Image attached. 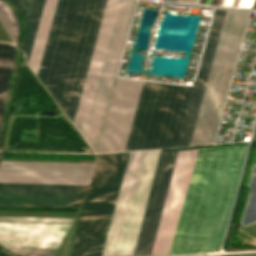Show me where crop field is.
<instances>
[{
	"label": "crop field",
	"mask_w": 256,
	"mask_h": 256,
	"mask_svg": "<svg viewBox=\"0 0 256 256\" xmlns=\"http://www.w3.org/2000/svg\"><path fill=\"white\" fill-rule=\"evenodd\" d=\"M248 14L226 12L190 145L213 143Z\"/></svg>",
	"instance_id": "5"
},
{
	"label": "crop field",
	"mask_w": 256,
	"mask_h": 256,
	"mask_svg": "<svg viewBox=\"0 0 256 256\" xmlns=\"http://www.w3.org/2000/svg\"><path fill=\"white\" fill-rule=\"evenodd\" d=\"M160 150L147 151L118 256H132Z\"/></svg>",
	"instance_id": "14"
},
{
	"label": "crop field",
	"mask_w": 256,
	"mask_h": 256,
	"mask_svg": "<svg viewBox=\"0 0 256 256\" xmlns=\"http://www.w3.org/2000/svg\"><path fill=\"white\" fill-rule=\"evenodd\" d=\"M247 146L197 150L169 254L218 250Z\"/></svg>",
	"instance_id": "1"
},
{
	"label": "crop field",
	"mask_w": 256,
	"mask_h": 256,
	"mask_svg": "<svg viewBox=\"0 0 256 256\" xmlns=\"http://www.w3.org/2000/svg\"><path fill=\"white\" fill-rule=\"evenodd\" d=\"M177 151L160 152L133 256L150 255Z\"/></svg>",
	"instance_id": "10"
},
{
	"label": "crop field",
	"mask_w": 256,
	"mask_h": 256,
	"mask_svg": "<svg viewBox=\"0 0 256 256\" xmlns=\"http://www.w3.org/2000/svg\"><path fill=\"white\" fill-rule=\"evenodd\" d=\"M142 82L117 79L97 153L124 151Z\"/></svg>",
	"instance_id": "7"
},
{
	"label": "crop field",
	"mask_w": 256,
	"mask_h": 256,
	"mask_svg": "<svg viewBox=\"0 0 256 256\" xmlns=\"http://www.w3.org/2000/svg\"><path fill=\"white\" fill-rule=\"evenodd\" d=\"M226 11L215 10L177 147L189 146Z\"/></svg>",
	"instance_id": "13"
},
{
	"label": "crop field",
	"mask_w": 256,
	"mask_h": 256,
	"mask_svg": "<svg viewBox=\"0 0 256 256\" xmlns=\"http://www.w3.org/2000/svg\"><path fill=\"white\" fill-rule=\"evenodd\" d=\"M192 88L144 81L125 151L176 147Z\"/></svg>",
	"instance_id": "4"
},
{
	"label": "crop field",
	"mask_w": 256,
	"mask_h": 256,
	"mask_svg": "<svg viewBox=\"0 0 256 256\" xmlns=\"http://www.w3.org/2000/svg\"><path fill=\"white\" fill-rule=\"evenodd\" d=\"M114 154L97 155L95 170L71 256H87Z\"/></svg>",
	"instance_id": "11"
},
{
	"label": "crop field",
	"mask_w": 256,
	"mask_h": 256,
	"mask_svg": "<svg viewBox=\"0 0 256 256\" xmlns=\"http://www.w3.org/2000/svg\"><path fill=\"white\" fill-rule=\"evenodd\" d=\"M174 1H177V0H174Z\"/></svg>",
	"instance_id": "29"
},
{
	"label": "crop field",
	"mask_w": 256,
	"mask_h": 256,
	"mask_svg": "<svg viewBox=\"0 0 256 256\" xmlns=\"http://www.w3.org/2000/svg\"><path fill=\"white\" fill-rule=\"evenodd\" d=\"M57 1L58 0H45L39 27L28 62L29 66L34 71L36 76L38 75L46 41L54 17Z\"/></svg>",
	"instance_id": "17"
},
{
	"label": "crop field",
	"mask_w": 256,
	"mask_h": 256,
	"mask_svg": "<svg viewBox=\"0 0 256 256\" xmlns=\"http://www.w3.org/2000/svg\"><path fill=\"white\" fill-rule=\"evenodd\" d=\"M62 2H63V0H59L58 1V5H57L54 21H53V24H52V28H51V31H50L49 39H48V42H47V46H46V49H45L44 57H43L42 64H41V67H40V71H39V75H38L40 80H42V76H43L46 60H47V57H48L51 41H52V38H53V34H54V30H55L56 23H57V20H58V16H59V12H60V9H61Z\"/></svg>",
	"instance_id": "22"
},
{
	"label": "crop field",
	"mask_w": 256,
	"mask_h": 256,
	"mask_svg": "<svg viewBox=\"0 0 256 256\" xmlns=\"http://www.w3.org/2000/svg\"><path fill=\"white\" fill-rule=\"evenodd\" d=\"M135 0H107L73 124L96 150Z\"/></svg>",
	"instance_id": "3"
},
{
	"label": "crop field",
	"mask_w": 256,
	"mask_h": 256,
	"mask_svg": "<svg viewBox=\"0 0 256 256\" xmlns=\"http://www.w3.org/2000/svg\"><path fill=\"white\" fill-rule=\"evenodd\" d=\"M254 0H220L218 6L250 9Z\"/></svg>",
	"instance_id": "23"
},
{
	"label": "crop field",
	"mask_w": 256,
	"mask_h": 256,
	"mask_svg": "<svg viewBox=\"0 0 256 256\" xmlns=\"http://www.w3.org/2000/svg\"><path fill=\"white\" fill-rule=\"evenodd\" d=\"M69 225L0 222V245L20 256H52Z\"/></svg>",
	"instance_id": "6"
},
{
	"label": "crop field",
	"mask_w": 256,
	"mask_h": 256,
	"mask_svg": "<svg viewBox=\"0 0 256 256\" xmlns=\"http://www.w3.org/2000/svg\"><path fill=\"white\" fill-rule=\"evenodd\" d=\"M178 1H181V2H189V3H192L193 0H178Z\"/></svg>",
	"instance_id": "26"
},
{
	"label": "crop field",
	"mask_w": 256,
	"mask_h": 256,
	"mask_svg": "<svg viewBox=\"0 0 256 256\" xmlns=\"http://www.w3.org/2000/svg\"><path fill=\"white\" fill-rule=\"evenodd\" d=\"M129 153H116L89 256H101Z\"/></svg>",
	"instance_id": "15"
},
{
	"label": "crop field",
	"mask_w": 256,
	"mask_h": 256,
	"mask_svg": "<svg viewBox=\"0 0 256 256\" xmlns=\"http://www.w3.org/2000/svg\"><path fill=\"white\" fill-rule=\"evenodd\" d=\"M15 48L0 43V126Z\"/></svg>",
	"instance_id": "19"
},
{
	"label": "crop field",
	"mask_w": 256,
	"mask_h": 256,
	"mask_svg": "<svg viewBox=\"0 0 256 256\" xmlns=\"http://www.w3.org/2000/svg\"><path fill=\"white\" fill-rule=\"evenodd\" d=\"M93 165L3 162L0 182L88 184Z\"/></svg>",
	"instance_id": "9"
},
{
	"label": "crop field",
	"mask_w": 256,
	"mask_h": 256,
	"mask_svg": "<svg viewBox=\"0 0 256 256\" xmlns=\"http://www.w3.org/2000/svg\"><path fill=\"white\" fill-rule=\"evenodd\" d=\"M252 140H256V127H255V131H254V135H253V139Z\"/></svg>",
	"instance_id": "27"
},
{
	"label": "crop field",
	"mask_w": 256,
	"mask_h": 256,
	"mask_svg": "<svg viewBox=\"0 0 256 256\" xmlns=\"http://www.w3.org/2000/svg\"><path fill=\"white\" fill-rule=\"evenodd\" d=\"M196 150L177 152L151 255L169 253Z\"/></svg>",
	"instance_id": "8"
},
{
	"label": "crop field",
	"mask_w": 256,
	"mask_h": 256,
	"mask_svg": "<svg viewBox=\"0 0 256 256\" xmlns=\"http://www.w3.org/2000/svg\"><path fill=\"white\" fill-rule=\"evenodd\" d=\"M145 152L130 153L102 256H117Z\"/></svg>",
	"instance_id": "12"
},
{
	"label": "crop field",
	"mask_w": 256,
	"mask_h": 256,
	"mask_svg": "<svg viewBox=\"0 0 256 256\" xmlns=\"http://www.w3.org/2000/svg\"><path fill=\"white\" fill-rule=\"evenodd\" d=\"M106 0H64L43 84L73 122Z\"/></svg>",
	"instance_id": "2"
},
{
	"label": "crop field",
	"mask_w": 256,
	"mask_h": 256,
	"mask_svg": "<svg viewBox=\"0 0 256 256\" xmlns=\"http://www.w3.org/2000/svg\"><path fill=\"white\" fill-rule=\"evenodd\" d=\"M0 21L6 28L9 36L11 37L13 43L16 46L19 33L18 20L14 15L12 9L2 0H0Z\"/></svg>",
	"instance_id": "21"
},
{
	"label": "crop field",
	"mask_w": 256,
	"mask_h": 256,
	"mask_svg": "<svg viewBox=\"0 0 256 256\" xmlns=\"http://www.w3.org/2000/svg\"><path fill=\"white\" fill-rule=\"evenodd\" d=\"M21 9L26 23L27 34L23 51H25L27 61L33 44V40L38 27L44 0H13Z\"/></svg>",
	"instance_id": "18"
},
{
	"label": "crop field",
	"mask_w": 256,
	"mask_h": 256,
	"mask_svg": "<svg viewBox=\"0 0 256 256\" xmlns=\"http://www.w3.org/2000/svg\"><path fill=\"white\" fill-rule=\"evenodd\" d=\"M88 185L0 183V194L83 197Z\"/></svg>",
	"instance_id": "16"
},
{
	"label": "crop field",
	"mask_w": 256,
	"mask_h": 256,
	"mask_svg": "<svg viewBox=\"0 0 256 256\" xmlns=\"http://www.w3.org/2000/svg\"><path fill=\"white\" fill-rule=\"evenodd\" d=\"M4 206H31V207H63V208H79V206H58V205H14V204H0Z\"/></svg>",
	"instance_id": "24"
},
{
	"label": "crop field",
	"mask_w": 256,
	"mask_h": 256,
	"mask_svg": "<svg viewBox=\"0 0 256 256\" xmlns=\"http://www.w3.org/2000/svg\"><path fill=\"white\" fill-rule=\"evenodd\" d=\"M193 3L205 4V5H218L219 0H194Z\"/></svg>",
	"instance_id": "25"
},
{
	"label": "crop field",
	"mask_w": 256,
	"mask_h": 256,
	"mask_svg": "<svg viewBox=\"0 0 256 256\" xmlns=\"http://www.w3.org/2000/svg\"><path fill=\"white\" fill-rule=\"evenodd\" d=\"M0 256H8V255H6V254L0 252Z\"/></svg>",
	"instance_id": "28"
},
{
	"label": "crop field",
	"mask_w": 256,
	"mask_h": 256,
	"mask_svg": "<svg viewBox=\"0 0 256 256\" xmlns=\"http://www.w3.org/2000/svg\"><path fill=\"white\" fill-rule=\"evenodd\" d=\"M82 198L0 195V203L79 205Z\"/></svg>",
	"instance_id": "20"
}]
</instances>
